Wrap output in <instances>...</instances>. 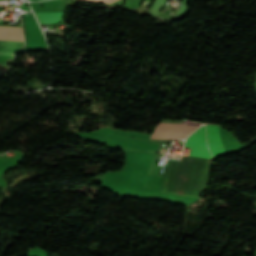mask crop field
Listing matches in <instances>:
<instances>
[{
    "label": "crop field",
    "instance_id": "crop-field-6",
    "mask_svg": "<svg viewBox=\"0 0 256 256\" xmlns=\"http://www.w3.org/2000/svg\"><path fill=\"white\" fill-rule=\"evenodd\" d=\"M92 1L107 2L115 5H122L124 0H92Z\"/></svg>",
    "mask_w": 256,
    "mask_h": 256
},
{
    "label": "crop field",
    "instance_id": "crop-field-1",
    "mask_svg": "<svg viewBox=\"0 0 256 256\" xmlns=\"http://www.w3.org/2000/svg\"><path fill=\"white\" fill-rule=\"evenodd\" d=\"M198 127L184 126L181 123L161 121L157 124L151 138L184 139Z\"/></svg>",
    "mask_w": 256,
    "mask_h": 256
},
{
    "label": "crop field",
    "instance_id": "crop-field-4",
    "mask_svg": "<svg viewBox=\"0 0 256 256\" xmlns=\"http://www.w3.org/2000/svg\"><path fill=\"white\" fill-rule=\"evenodd\" d=\"M0 40H24L21 26H0Z\"/></svg>",
    "mask_w": 256,
    "mask_h": 256
},
{
    "label": "crop field",
    "instance_id": "crop-field-2",
    "mask_svg": "<svg viewBox=\"0 0 256 256\" xmlns=\"http://www.w3.org/2000/svg\"><path fill=\"white\" fill-rule=\"evenodd\" d=\"M185 148H189L188 155L211 158L210 152L206 146L204 125L187 138Z\"/></svg>",
    "mask_w": 256,
    "mask_h": 256
},
{
    "label": "crop field",
    "instance_id": "crop-field-5",
    "mask_svg": "<svg viewBox=\"0 0 256 256\" xmlns=\"http://www.w3.org/2000/svg\"><path fill=\"white\" fill-rule=\"evenodd\" d=\"M40 25L57 24L63 13H35Z\"/></svg>",
    "mask_w": 256,
    "mask_h": 256
},
{
    "label": "crop field",
    "instance_id": "crop-field-3",
    "mask_svg": "<svg viewBox=\"0 0 256 256\" xmlns=\"http://www.w3.org/2000/svg\"><path fill=\"white\" fill-rule=\"evenodd\" d=\"M206 128L208 147L212 156L225 154L219 137L217 125H206Z\"/></svg>",
    "mask_w": 256,
    "mask_h": 256
}]
</instances>
